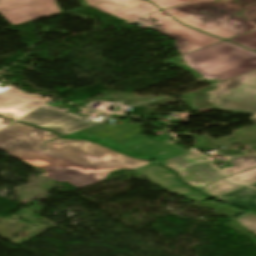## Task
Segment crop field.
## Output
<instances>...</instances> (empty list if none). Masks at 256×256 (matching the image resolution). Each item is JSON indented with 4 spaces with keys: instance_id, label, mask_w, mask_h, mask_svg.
<instances>
[{
    "instance_id": "obj_32",
    "label": "crop field",
    "mask_w": 256,
    "mask_h": 256,
    "mask_svg": "<svg viewBox=\"0 0 256 256\" xmlns=\"http://www.w3.org/2000/svg\"><path fill=\"white\" fill-rule=\"evenodd\" d=\"M185 197H187L189 199H192L196 202L206 200L204 197H201V196H198V195H195V194L186 195Z\"/></svg>"
},
{
    "instance_id": "obj_31",
    "label": "crop field",
    "mask_w": 256,
    "mask_h": 256,
    "mask_svg": "<svg viewBox=\"0 0 256 256\" xmlns=\"http://www.w3.org/2000/svg\"><path fill=\"white\" fill-rule=\"evenodd\" d=\"M87 148H88V149H91V150H93V151H95V152H98V151H100V150H105V149H107V148H105V147L99 146V145L94 144V143H91Z\"/></svg>"
},
{
    "instance_id": "obj_30",
    "label": "crop field",
    "mask_w": 256,
    "mask_h": 256,
    "mask_svg": "<svg viewBox=\"0 0 256 256\" xmlns=\"http://www.w3.org/2000/svg\"><path fill=\"white\" fill-rule=\"evenodd\" d=\"M18 121L23 122V123H27V124H32V125L40 126V125H38V124H36V123H33V122H31V121H28V120H26V119H24V118H22V119H20V120H18ZM40 127H43V126H40ZM43 128H45V127H43ZM46 129H48V128H46ZM49 130H53V131L59 133V135H61V137L65 136V134H64V133L62 132V130H60V129H49Z\"/></svg>"
},
{
    "instance_id": "obj_2",
    "label": "crop field",
    "mask_w": 256,
    "mask_h": 256,
    "mask_svg": "<svg viewBox=\"0 0 256 256\" xmlns=\"http://www.w3.org/2000/svg\"><path fill=\"white\" fill-rule=\"evenodd\" d=\"M185 63L206 80L222 81L256 70V53L223 41L183 55Z\"/></svg>"
},
{
    "instance_id": "obj_16",
    "label": "crop field",
    "mask_w": 256,
    "mask_h": 256,
    "mask_svg": "<svg viewBox=\"0 0 256 256\" xmlns=\"http://www.w3.org/2000/svg\"><path fill=\"white\" fill-rule=\"evenodd\" d=\"M157 11H160V10L156 8L154 5H152L151 3H149L148 1H141L124 10L114 13V15L120 18L129 20L132 18L147 15Z\"/></svg>"
},
{
    "instance_id": "obj_29",
    "label": "crop field",
    "mask_w": 256,
    "mask_h": 256,
    "mask_svg": "<svg viewBox=\"0 0 256 256\" xmlns=\"http://www.w3.org/2000/svg\"><path fill=\"white\" fill-rule=\"evenodd\" d=\"M3 110L1 109L0 107V115L2 116H7V117H10V118H18L20 116H22L24 114V111L22 110H19L17 108L13 109L12 111H10L9 113L5 114V113H1Z\"/></svg>"
},
{
    "instance_id": "obj_10",
    "label": "crop field",
    "mask_w": 256,
    "mask_h": 256,
    "mask_svg": "<svg viewBox=\"0 0 256 256\" xmlns=\"http://www.w3.org/2000/svg\"><path fill=\"white\" fill-rule=\"evenodd\" d=\"M49 138L50 136L47 134L39 136L26 135L17 130L12 124L8 128L0 131V150L10 155L43 144Z\"/></svg>"
},
{
    "instance_id": "obj_5",
    "label": "crop field",
    "mask_w": 256,
    "mask_h": 256,
    "mask_svg": "<svg viewBox=\"0 0 256 256\" xmlns=\"http://www.w3.org/2000/svg\"><path fill=\"white\" fill-rule=\"evenodd\" d=\"M215 109L256 115V71L231 79L209 96Z\"/></svg>"
},
{
    "instance_id": "obj_33",
    "label": "crop field",
    "mask_w": 256,
    "mask_h": 256,
    "mask_svg": "<svg viewBox=\"0 0 256 256\" xmlns=\"http://www.w3.org/2000/svg\"><path fill=\"white\" fill-rule=\"evenodd\" d=\"M153 166H156V167H158V168H161V169H163V170H165L166 172H168L171 176H173L176 180H178L174 175H173V173L171 172V171H169V170H167V169H165V168H163V167H161V166H158V165H156V164H152ZM179 181V180H178ZM180 182V181H179ZM181 183V182H180ZM185 186V185H184ZM185 187H187V186H185ZM190 191H192L193 193L194 192H196L195 190H193V189H191V188H189V187H187Z\"/></svg>"
},
{
    "instance_id": "obj_11",
    "label": "crop field",
    "mask_w": 256,
    "mask_h": 256,
    "mask_svg": "<svg viewBox=\"0 0 256 256\" xmlns=\"http://www.w3.org/2000/svg\"><path fill=\"white\" fill-rule=\"evenodd\" d=\"M120 143L129 147L128 149L131 152L155 158H166L184 151L170 144H159L153 140L147 139L144 135H137Z\"/></svg>"
},
{
    "instance_id": "obj_42",
    "label": "crop field",
    "mask_w": 256,
    "mask_h": 256,
    "mask_svg": "<svg viewBox=\"0 0 256 256\" xmlns=\"http://www.w3.org/2000/svg\"><path fill=\"white\" fill-rule=\"evenodd\" d=\"M251 186H254V187H256V184H255V185H251Z\"/></svg>"
},
{
    "instance_id": "obj_3",
    "label": "crop field",
    "mask_w": 256,
    "mask_h": 256,
    "mask_svg": "<svg viewBox=\"0 0 256 256\" xmlns=\"http://www.w3.org/2000/svg\"><path fill=\"white\" fill-rule=\"evenodd\" d=\"M10 156L19 158L33 166L43 168L47 172L45 176L50 180L57 182L65 181L77 188L100 182L114 170L129 169L116 164L95 166L75 163L68 159H58L45 153L43 145Z\"/></svg>"
},
{
    "instance_id": "obj_34",
    "label": "crop field",
    "mask_w": 256,
    "mask_h": 256,
    "mask_svg": "<svg viewBox=\"0 0 256 256\" xmlns=\"http://www.w3.org/2000/svg\"><path fill=\"white\" fill-rule=\"evenodd\" d=\"M57 141H61V142H66V141H77V142H80V143H82V144H84V147L86 148L89 144H90V142H87V141H83V140H64V139H59V140H57Z\"/></svg>"
},
{
    "instance_id": "obj_18",
    "label": "crop field",
    "mask_w": 256,
    "mask_h": 256,
    "mask_svg": "<svg viewBox=\"0 0 256 256\" xmlns=\"http://www.w3.org/2000/svg\"><path fill=\"white\" fill-rule=\"evenodd\" d=\"M244 187L246 186L238 184L228 178H224L207 187V190L211 193L221 196Z\"/></svg>"
},
{
    "instance_id": "obj_24",
    "label": "crop field",
    "mask_w": 256,
    "mask_h": 256,
    "mask_svg": "<svg viewBox=\"0 0 256 256\" xmlns=\"http://www.w3.org/2000/svg\"><path fill=\"white\" fill-rule=\"evenodd\" d=\"M230 177L248 185L254 184L249 180L256 178V168L243 173L232 175Z\"/></svg>"
},
{
    "instance_id": "obj_13",
    "label": "crop field",
    "mask_w": 256,
    "mask_h": 256,
    "mask_svg": "<svg viewBox=\"0 0 256 256\" xmlns=\"http://www.w3.org/2000/svg\"><path fill=\"white\" fill-rule=\"evenodd\" d=\"M133 171L146 176L151 182L165 188L169 192L179 195L192 193L168 173L151 165H147Z\"/></svg>"
},
{
    "instance_id": "obj_39",
    "label": "crop field",
    "mask_w": 256,
    "mask_h": 256,
    "mask_svg": "<svg viewBox=\"0 0 256 256\" xmlns=\"http://www.w3.org/2000/svg\"><path fill=\"white\" fill-rule=\"evenodd\" d=\"M0 121H4V122L11 123V121H10V120H5V119H1V118H0Z\"/></svg>"
},
{
    "instance_id": "obj_35",
    "label": "crop field",
    "mask_w": 256,
    "mask_h": 256,
    "mask_svg": "<svg viewBox=\"0 0 256 256\" xmlns=\"http://www.w3.org/2000/svg\"><path fill=\"white\" fill-rule=\"evenodd\" d=\"M108 151L115 152V151L110 150V149H108ZM116 153H118V152H116ZM119 154H120V153H119ZM120 155H121L123 158H126V159H130V160H134V161H138V162H142V163H146V164L151 163L150 161H142V160H137V159L129 158V157H127V156H125V155H122V154H120Z\"/></svg>"
},
{
    "instance_id": "obj_37",
    "label": "crop field",
    "mask_w": 256,
    "mask_h": 256,
    "mask_svg": "<svg viewBox=\"0 0 256 256\" xmlns=\"http://www.w3.org/2000/svg\"><path fill=\"white\" fill-rule=\"evenodd\" d=\"M201 191H204V192H206V193H208V194L212 195L213 197H217L216 195H213V194H211V193L207 192L205 188H204V189H202Z\"/></svg>"
},
{
    "instance_id": "obj_14",
    "label": "crop field",
    "mask_w": 256,
    "mask_h": 256,
    "mask_svg": "<svg viewBox=\"0 0 256 256\" xmlns=\"http://www.w3.org/2000/svg\"><path fill=\"white\" fill-rule=\"evenodd\" d=\"M141 132H142V125L124 124L119 127L111 128L101 123L97 126L80 131L74 135L81 134V133L96 134L101 137L119 142L127 138H130L132 136H135L137 134H140Z\"/></svg>"
},
{
    "instance_id": "obj_22",
    "label": "crop field",
    "mask_w": 256,
    "mask_h": 256,
    "mask_svg": "<svg viewBox=\"0 0 256 256\" xmlns=\"http://www.w3.org/2000/svg\"><path fill=\"white\" fill-rule=\"evenodd\" d=\"M14 125L17 129H19L27 134L39 135V134L47 133V134L51 135L50 140L58 138V136L56 134L49 132V131L41 130V129L34 128V127H29L27 125L17 123V122H15Z\"/></svg>"
},
{
    "instance_id": "obj_20",
    "label": "crop field",
    "mask_w": 256,
    "mask_h": 256,
    "mask_svg": "<svg viewBox=\"0 0 256 256\" xmlns=\"http://www.w3.org/2000/svg\"><path fill=\"white\" fill-rule=\"evenodd\" d=\"M254 194H256V190L247 187L221 197L233 199L244 203H249Z\"/></svg>"
},
{
    "instance_id": "obj_4",
    "label": "crop field",
    "mask_w": 256,
    "mask_h": 256,
    "mask_svg": "<svg viewBox=\"0 0 256 256\" xmlns=\"http://www.w3.org/2000/svg\"><path fill=\"white\" fill-rule=\"evenodd\" d=\"M132 20L175 39L181 55L223 41L183 26L162 11Z\"/></svg>"
},
{
    "instance_id": "obj_21",
    "label": "crop field",
    "mask_w": 256,
    "mask_h": 256,
    "mask_svg": "<svg viewBox=\"0 0 256 256\" xmlns=\"http://www.w3.org/2000/svg\"><path fill=\"white\" fill-rule=\"evenodd\" d=\"M235 220L243 227L256 234V212L251 211L248 214L239 217Z\"/></svg>"
},
{
    "instance_id": "obj_38",
    "label": "crop field",
    "mask_w": 256,
    "mask_h": 256,
    "mask_svg": "<svg viewBox=\"0 0 256 256\" xmlns=\"http://www.w3.org/2000/svg\"><path fill=\"white\" fill-rule=\"evenodd\" d=\"M195 194H198V195L204 196V197H206L207 199H209V197H207V196H205V195H203V194H201V193H199V192H196Z\"/></svg>"
},
{
    "instance_id": "obj_15",
    "label": "crop field",
    "mask_w": 256,
    "mask_h": 256,
    "mask_svg": "<svg viewBox=\"0 0 256 256\" xmlns=\"http://www.w3.org/2000/svg\"><path fill=\"white\" fill-rule=\"evenodd\" d=\"M226 81L219 84L183 95V99L189 104L190 107L210 109L217 102L209 99L208 96L217 90Z\"/></svg>"
},
{
    "instance_id": "obj_27",
    "label": "crop field",
    "mask_w": 256,
    "mask_h": 256,
    "mask_svg": "<svg viewBox=\"0 0 256 256\" xmlns=\"http://www.w3.org/2000/svg\"><path fill=\"white\" fill-rule=\"evenodd\" d=\"M159 163L164 164V165L170 167L171 169L175 170V171L179 174L180 178H181L183 181H185L187 184H189L190 186H192V187H194V188H196V189H198V190L204 188V187H201V186H198V185H195V184L190 183L189 180H188V178H187V176H186V174L180 172L179 170L175 169L174 167L168 165L167 163H165V162H163V161H161V162H159Z\"/></svg>"
},
{
    "instance_id": "obj_8",
    "label": "crop field",
    "mask_w": 256,
    "mask_h": 256,
    "mask_svg": "<svg viewBox=\"0 0 256 256\" xmlns=\"http://www.w3.org/2000/svg\"><path fill=\"white\" fill-rule=\"evenodd\" d=\"M77 108L66 105L60 109L43 105L39 109L26 115L24 118L49 128H61L64 133L70 134L99 123L88 122L73 114Z\"/></svg>"
},
{
    "instance_id": "obj_19",
    "label": "crop field",
    "mask_w": 256,
    "mask_h": 256,
    "mask_svg": "<svg viewBox=\"0 0 256 256\" xmlns=\"http://www.w3.org/2000/svg\"><path fill=\"white\" fill-rule=\"evenodd\" d=\"M228 41L244 46L250 50L256 51V30L238 36L236 38L229 39Z\"/></svg>"
},
{
    "instance_id": "obj_25",
    "label": "crop field",
    "mask_w": 256,
    "mask_h": 256,
    "mask_svg": "<svg viewBox=\"0 0 256 256\" xmlns=\"http://www.w3.org/2000/svg\"><path fill=\"white\" fill-rule=\"evenodd\" d=\"M92 7L96 8L104 13L109 14L112 11L123 8L124 6L115 5V4H111V3H107V2H102V3L95 4Z\"/></svg>"
},
{
    "instance_id": "obj_26",
    "label": "crop field",
    "mask_w": 256,
    "mask_h": 256,
    "mask_svg": "<svg viewBox=\"0 0 256 256\" xmlns=\"http://www.w3.org/2000/svg\"><path fill=\"white\" fill-rule=\"evenodd\" d=\"M102 1H107V2H111V3H116V4H120V5H124V6H127L137 0H85V2L91 6L95 3H98V2H102Z\"/></svg>"
},
{
    "instance_id": "obj_6",
    "label": "crop field",
    "mask_w": 256,
    "mask_h": 256,
    "mask_svg": "<svg viewBox=\"0 0 256 256\" xmlns=\"http://www.w3.org/2000/svg\"><path fill=\"white\" fill-rule=\"evenodd\" d=\"M44 151L59 158H69L75 162L89 163L95 165L120 164L133 169L145 166V164L123 159L119 154L100 151L95 153L83 148L77 142L59 143L52 141L44 144Z\"/></svg>"
},
{
    "instance_id": "obj_41",
    "label": "crop field",
    "mask_w": 256,
    "mask_h": 256,
    "mask_svg": "<svg viewBox=\"0 0 256 256\" xmlns=\"http://www.w3.org/2000/svg\"><path fill=\"white\" fill-rule=\"evenodd\" d=\"M251 181H253V182H255V183H256V179H254V180H251Z\"/></svg>"
},
{
    "instance_id": "obj_17",
    "label": "crop field",
    "mask_w": 256,
    "mask_h": 256,
    "mask_svg": "<svg viewBox=\"0 0 256 256\" xmlns=\"http://www.w3.org/2000/svg\"><path fill=\"white\" fill-rule=\"evenodd\" d=\"M231 166L230 168L220 169L227 176L235 173L243 172L256 167V156H242L228 159Z\"/></svg>"
},
{
    "instance_id": "obj_36",
    "label": "crop field",
    "mask_w": 256,
    "mask_h": 256,
    "mask_svg": "<svg viewBox=\"0 0 256 256\" xmlns=\"http://www.w3.org/2000/svg\"><path fill=\"white\" fill-rule=\"evenodd\" d=\"M6 125H8V123L0 122V128L4 127Z\"/></svg>"
},
{
    "instance_id": "obj_28",
    "label": "crop field",
    "mask_w": 256,
    "mask_h": 256,
    "mask_svg": "<svg viewBox=\"0 0 256 256\" xmlns=\"http://www.w3.org/2000/svg\"><path fill=\"white\" fill-rule=\"evenodd\" d=\"M217 199H219V200H221L223 202L236 203V204H239V205H242V206H246V207H249V208H252V209H256V195H254L251 203H249V204H244V203L232 201V200L221 198V197H217Z\"/></svg>"
},
{
    "instance_id": "obj_23",
    "label": "crop field",
    "mask_w": 256,
    "mask_h": 256,
    "mask_svg": "<svg viewBox=\"0 0 256 256\" xmlns=\"http://www.w3.org/2000/svg\"><path fill=\"white\" fill-rule=\"evenodd\" d=\"M162 10L188 3L194 0H150Z\"/></svg>"
},
{
    "instance_id": "obj_1",
    "label": "crop field",
    "mask_w": 256,
    "mask_h": 256,
    "mask_svg": "<svg viewBox=\"0 0 256 256\" xmlns=\"http://www.w3.org/2000/svg\"><path fill=\"white\" fill-rule=\"evenodd\" d=\"M239 10L225 0H200L163 12L185 25L228 39L256 29V24L233 15Z\"/></svg>"
},
{
    "instance_id": "obj_40",
    "label": "crop field",
    "mask_w": 256,
    "mask_h": 256,
    "mask_svg": "<svg viewBox=\"0 0 256 256\" xmlns=\"http://www.w3.org/2000/svg\"><path fill=\"white\" fill-rule=\"evenodd\" d=\"M252 120V122H254L255 124H256V118H254V119H251Z\"/></svg>"
},
{
    "instance_id": "obj_7",
    "label": "crop field",
    "mask_w": 256,
    "mask_h": 256,
    "mask_svg": "<svg viewBox=\"0 0 256 256\" xmlns=\"http://www.w3.org/2000/svg\"><path fill=\"white\" fill-rule=\"evenodd\" d=\"M61 13L54 0H0V14L10 25Z\"/></svg>"
},
{
    "instance_id": "obj_12",
    "label": "crop field",
    "mask_w": 256,
    "mask_h": 256,
    "mask_svg": "<svg viewBox=\"0 0 256 256\" xmlns=\"http://www.w3.org/2000/svg\"><path fill=\"white\" fill-rule=\"evenodd\" d=\"M47 100L49 99L25 95L10 86L6 88L0 87V106L3 108V112L5 113L15 107L28 113Z\"/></svg>"
},
{
    "instance_id": "obj_9",
    "label": "crop field",
    "mask_w": 256,
    "mask_h": 256,
    "mask_svg": "<svg viewBox=\"0 0 256 256\" xmlns=\"http://www.w3.org/2000/svg\"><path fill=\"white\" fill-rule=\"evenodd\" d=\"M205 160L203 155L192 150L164 161L186 173L192 183L206 187L225 176Z\"/></svg>"
}]
</instances>
